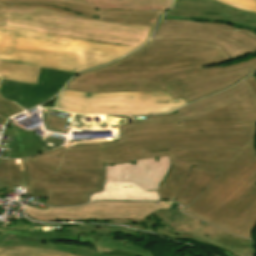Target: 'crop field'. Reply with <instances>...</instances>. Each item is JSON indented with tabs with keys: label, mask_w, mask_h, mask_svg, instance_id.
<instances>
[{
	"label": "crop field",
	"mask_w": 256,
	"mask_h": 256,
	"mask_svg": "<svg viewBox=\"0 0 256 256\" xmlns=\"http://www.w3.org/2000/svg\"><path fill=\"white\" fill-rule=\"evenodd\" d=\"M159 220L157 233L182 239H192L205 244L218 246L227 256H254V244L240 237L233 236L208 223L183 214L180 205L175 210H159L143 220H107L108 223L124 224L136 229L153 231V225Z\"/></svg>",
	"instance_id": "crop-field-6"
},
{
	"label": "crop field",
	"mask_w": 256,
	"mask_h": 256,
	"mask_svg": "<svg viewBox=\"0 0 256 256\" xmlns=\"http://www.w3.org/2000/svg\"><path fill=\"white\" fill-rule=\"evenodd\" d=\"M46 129L67 133L70 126L71 114L56 109H42Z\"/></svg>",
	"instance_id": "crop-field-17"
},
{
	"label": "crop field",
	"mask_w": 256,
	"mask_h": 256,
	"mask_svg": "<svg viewBox=\"0 0 256 256\" xmlns=\"http://www.w3.org/2000/svg\"><path fill=\"white\" fill-rule=\"evenodd\" d=\"M177 113L126 116L120 139L77 142L26 158L66 169H103L104 164L168 155L172 167L160 199L182 211L253 239L256 226V96L245 79L235 87L189 104ZM182 205V206H183Z\"/></svg>",
	"instance_id": "crop-field-1"
},
{
	"label": "crop field",
	"mask_w": 256,
	"mask_h": 256,
	"mask_svg": "<svg viewBox=\"0 0 256 256\" xmlns=\"http://www.w3.org/2000/svg\"><path fill=\"white\" fill-rule=\"evenodd\" d=\"M247 80L250 82L253 90L256 93V77L252 75V76L248 77Z\"/></svg>",
	"instance_id": "crop-field-24"
},
{
	"label": "crop field",
	"mask_w": 256,
	"mask_h": 256,
	"mask_svg": "<svg viewBox=\"0 0 256 256\" xmlns=\"http://www.w3.org/2000/svg\"><path fill=\"white\" fill-rule=\"evenodd\" d=\"M163 19L222 22L256 30V13L241 11L214 0H176Z\"/></svg>",
	"instance_id": "crop-field-12"
},
{
	"label": "crop field",
	"mask_w": 256,
	"mask_h": 256,
	"mask_svg": "<svg viewBox=\"0 0 256 256\" xmlns=\"http://www.w3.org/2000/svg\"><path fill=\"white\" fill-rule=\"evenodd\" d=\"M80 242L95 244V250L66 244H56L52 240H39L3 234L0 247L26 245L39 248H50L82 256H152V253L132 246L135 241L129 239L115 240V236L80 234ZM56 247V248H54Z\"/></svg>",
	"instance_id": "crop-field-10"
},
{
	"label": "crop field",
	"mask_w": 256,
	"mask_h": 256,
	"mask_svg": "<svg viewBox=\"0 0 256 256\" xmlns=\"http://www.w3.org/2000/svg\"><path fill=\"white\" fill-rule=\"evenodd\" d=\"M152 39H184L216 43L224 47L231 59L256 52V31L222 23L161 20Z\"/></svg>",
	"instance_id": "crop-field-8"
},
{
	"label": "crop field",
	"mask_w": 256,
	"mask_h": 256,
	"mask_svg": "<svg viewBox=\"0 0 256 256\" xmlns=\"http://www.w3.org/2000/svg\"><path fill=\"white\" fill-rule=\"evenodd\" d=\"M9 121V120H8ZM10 119L3 134L16 136L9 158H25L38 153L49 151V149L39 145L32 131H24L18 126H13Z\"/></svg>",
	"instance_id": "crop-field-15"
},
{
	"label": "crop field",
	"mask_w": 256,
	"mask_h": 256,
	"mask_svg": "<svg viewBox=\"0 0 256 256\" xmlns=\"http://www.w3.org/2000/svg\"><path fill=\"white\" fill-rule=\"evenodd\" d=\"M26 194L47 197V205L69 206L88 202L102 190L103 170H65L22 159Z\"/></svg>",
	"instance_id": "crop-field-5"
},
{
	"label": "crop field",
	"mask_w": 256,
	"mask_h": 256,
	"mask_svg": "<svg viewBox=\"0 0 256 256\" xmlns=\"http://www.w3.org/2000/svg\"><path fill=\"white\" fill-rule=\"evenodd\" d=\"M0 7L11 8H44L73 15L78 18H88L113 22L133 23L151 26L148 38L155 25L166 10L140 11V10H107L92 9L55 1H0Z\"/></svg>",
	"instance_id": "crop-field-11"
},
{
	"label": "crop field",
	"mask_w": 256,
	"mask_h": 256,
	"mask_svg": "<svg viewBox=\"0 0 256 256\" xmlns=\"http://www.w3.org/2000/svg\"><path fill=\"white\" fill-rule=\"evenodd\" d=\"M3 233L7 234H13V235H19V236H25V237H32V238H39V239H52V240H71L78 242L79 234L74 233H58V234H29V233H21V232H15L11 230H3L0 229V236Z\"/></svg>",
	"instance_id": "crop-field-20"
},
{
	"label": "crop field",
	"mask_w": 256,
	"mask_h": 256,
	"mask_svg": "<svg viewBox=\"0 0 256 256\" xmlns=\"http://www.w3.org/2000/svg\"><path fill=\"white\" fill-rule=\"evenodd\" d=\"M170 166L167 156L106 165L103 191L90 201L160 200L157 190Z\"/></svg>",
	"instance_id": "crop-field-7"
},
{
	"label": "crop field",
	"mask_w": 256,
	"mask_h": 256,
	"mask_svg": "<svg viewBox=\"0 0 256 256\" xmlns=\"http://www.w3.org/2000/svg\"><path fill=\"white\" fill-rule=\"evenodd\" d=\"M173 202L99 201L82 206L48 207L45 210L24 205L27 215L37 220L142 219Z\"/></svg>",
	"instance_id": "crop-field-9"
},
{
	"label": "crop field",
	"mask_w": 256,
	"mask_h": 256,
	"mask_svg": "<svg viewBox=\"0 0 256 256\" xmlns=\"http://www.w3.org/2000/svg\"><path fill=\"white\" fill-rule=\"evenodd\" d=\"M0 184L18 187L25 186L21 160L0 159Z\"/></svg>",
	"instance_id": "crop-field-16"
},
{
	"label": "crop field",
	"mask_w": 256,
	"mask_h": 256,
	"mask_svg": "<svg viewBox=\"0 0 256 256\" xmlns=\"http://www.w3.org/2000/svg\"><path fill=\"white\" fill-rule=\"evenodd\" d=\"M230 60L221 46L183 40H150L116 62L82 72L65 86L88 93L169 91L186 104L234 85L256 71V57L204 70Z\"/></svg>",
	"instance_id": "crop-field-3"
},
{
	"label": "crop field",
	"mask_w": 256,
	"mask_h": 256,
	"mask_svg": "<svg viewBox=\"0 0 256 256\" xmlns=\"http://www.w3.org/2000/svg\"><path fill=\"white\" fill-rule=\"evenodd\" d=\"M150 27L0 8V77L37 84L39 67L74 72L138 48Z\"/></svg>",
	"instance_id": "crop-field-2"
},
{
	"label": "crop field",
	"mask_w": 256,
	"mask_h": 256,
	"mask_svg": "<svg viewBox=\"0 0 256 256\" xmlns=\"http://www.w3.org/2000/svg\"><path fill=\"white\" fill-rule=\"evenodd\" d=\"M92 8L107 9H170L173 0H55Z\"/></svg>",
	"instance_id": "crop-field-14"
},
{
	"label": "crop field",
	"mask_w": 256,
	"mask_h": 256,
	"mask_svg": "<svg viewBox=\"0 0 256 256\" xmlns=\"http://www.w3.org/2000/svg\"><path fill=\"white\" fill-rule=\"evenodd\" d=\"M0 256H75L50 249H39L25 246L0 248Z\"/></svg>",
	"instance_id": "crop-field-18"
},
{
	"label": "crop field",
	"mask_w": 256,
	"mask_h": 256,
	"mask_svg": "<svg viewBox=\"0 0 256 256\" xmlns=\"http://www.w3.org/2000/svg\"><path fill=\"white\" fill-rule=\"evenodd\" d=\"M221 3H224L226 5L246 10V11H251V12H256V0H216Z\"/></svg>",
	"instance_id": "crop-field-21"
},
{
	"label": "crop field",
	"mask_w": 256,
	"mask_h": 256,
	"mask_svg": "<svg viewBox=\"0 0 256 256\" xmlns=\"http://www.w3.org/2000/svg\"><path fill=\"white\" fill-rule=\"evenodd\" d=\"M5 121H6L5 119H3V118L0 117V124H4Z\"/></svg>",
	"instance_id": "crop-field-26"
},
{
	"label": "crop field",
	"mask_w": 256,
	"mask_h": 256,
	"mask_svg": "<svg viewBox=\"0 0 256 256\" xmlns=\"http://www.w3.org/2000/svg\"><path fill=\"white\" fill-rule=\"evenodd\" d=\"M73 75L70 72L40 68L38 85L1 79L0 96L27 110L55 96Z\"/></svg>",
	"instance_id": "crop-field-13"
},
{
	"label": "crop field",
	"mask_w": 256,
	"mask_h": 256,
	"mask_svg": "<svg viewBox=\"0 0 256 256\" xmlns=\"http://www.w3.org/2000/svg\"><path fill=\"white\" fill-rule=\"evenodd\" d=\"M183 99L172 100L168 92H118L87 94L64 89L54 108L78 114L152 115L171 112Z\"/></svg>",
	"instance_id": "crop-field-4"
},
{
	"label": "crop field",
	"mask_w": 256,
	"mask_h": 256,
	"mask_svg": "<svg viewBox=\"0 0 256 256\" xmlns=\"http://www.w3.org/2000/svg\"><path fill=\"white\" fill-rule=\"evenodd\" d=\"M22 111L23 110L20 107H18L16 104L8 101H4L0 98V116L7 119L11 115L18 112H22Z\"/></svg>",
	"instance_id": "crop-field-22"
},
{
	"label": "crop field",
	"mask_w": 256,
	"mask_h": 256,
	"mask_svg": "<svg viewBox=\"0 0 256 256\" xmlns=\"http://www.w3.org/2000/svg\"><path fill=\"white\" fill-rule=\"evenodd\" d=\"M64 231H70L75 233H90V234H102V233H125L137 238V231H133L121 227H110V226H101V225H76L70 227H63Z\"/></svg>",
	"instance_id": "crop-field-19"
},
{
	"label": "crop field",
	"mask_w": 256,
	"mask_h": 256,
	"mask_svg": "<svg viewBox=\"0 0 256 256\" xmlns=\"http://www.w3.org/2000/svg\"><path fill=\"white\" fill-rule=\"evenodd\" d=\"M45 141L51 142V143H55V144H60L62 142H64V140L62 139H56V138H45Z\"/></svg>",
	"instance_id": "crop-field-25"
},
{
	"label": "crop field",
	"mask_w": 256,
	"mask_h": 256,
	"mask_svg": "<svg viewBox=\"0 0 256 256\" xmlns=\"http://www.w3.org/2000/svg\"><path fill=\"white\" fill-rule=\"evenodd\" d=\"M5 192H11V187L0 185V198H4Z\"/></svg>",
	"instance_id": "crop-field-23"
}]
</instances>
